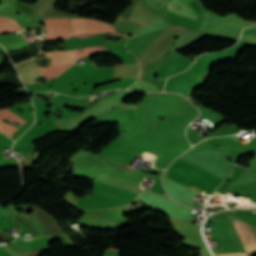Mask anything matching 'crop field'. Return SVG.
<instances>
[{
    "label": "crop field",
    "mask_w": 256,
    "mask_h": 256,
    "mask_svg": "<svg viewBox=\"0 0 256 256\" xmlns=\"http://www.w3.org/2000/svg\"><path fill=\"white\" fill-rule=\"evenodd\" d=\"M0 233H3V232H0ZM4 234H7V233H4ZM8 235H10V234H8Z\"/></svg>",
    "instance_id": "10"
},
{
    "label": "crop field",
    "mask_w": 256,
    "mask_h": 256,
    "mask_svg": "<svg viewBox=\"0 0 256 256\" xmlns=\"http://www.w3.org/2000/svg\"><path fill=\"white\" fill-rule=\"evenodd\" d=\"M72 36H73L72 32L68 31V32H62V33H55V34L46 35V39L47 40H49V39H69Z\"/></svg>",
    "instance_id": "8"
},
{
    "label": "crop field",
    "mask_w": 256,
    "mask_h": 256,
    "mask_svg": "<svg viewBox=\"0 0 256 256\" xmlns=\"http://www.w3.org/2000/svg\"><path fill=\"white\" fill-rule=\"evenodd\" d=\"M176 6H178L181 10H178L176 7L169 5L168 9L176 14L188 17L190 19L195 20L198 16L195 14V12L189 7L187 6L184 2L180 1V0H173L172 2H170Z\"/></svg>",
    "instance_id": "6"
},
{
    "label": "crop field",
    "mask_w": 256,
    "mask_h": 256,
    "mask_svg": "<svg viewBox=\"0 0 256 256\" xmlns=\"http://www.w3.org/2000/svg\"><path fill=\"white\" fill-rule=\"evenodd\" d=\"M187 29L183 26H170L160 36H158L150 45H148L137 57H135L140 67L147 66L152 63L156 58L161 56L171 45L173 38L181 34ZM157 60V59H156Z\"/></svg>",
    "instance_id": "2"
},
{
    "label": "crop field",
    "mask_w": 256,
    "mask_h": 256,
    "mask_svg": "<svg viewBox=\"0 0 256 256\" xmlns=\"http://www.w3.org/2000/svg\"><path fill=\"white\" fill-rule=\"evenodd\" d=\"M163 176L172 181H175L185 187L193 186V187H196V188L203 190L207 193H210V194L213 193V190H211V189H209V188H207V187H205V186H203V185H201V184H199V183H197V182H195V181H193V180H191V179H189V178H187L169 168H167V170Z\"/></svg>",
    "instance_id": "5"
},
{
    "label": "crop field",
    "mask_w": 256,
    "mask_h": 256,
    "mask_svg": "<svg viewBox=\"0 0 256 256\" xmlns=\"http://www.w3.org/2000/svg\"><path fill=\"white\" fill-rule=\"evenodd\" d=\"M164 30L165 29L151 32L136 39H129L125 48L135 57Z\"/></svg>",
    "instance_id": "4"
},
{
    "label": "crop field",
    "mask_w": 256,
    "mask_h": 256,
    "mask_svg": "<svg viewBox=\"0 0 256 256\" xmlns=\"http://www.w3.org/2000/svg\"><path fill=\"white\" fill-rule=\"evenodd\" d=\"M233 223L238 232L239 237L241 238V242L244 246L245 251H256V239L252 234L250 226L241 221H233Z\"/></svg>",
    "instance_id": "3"
},
{
    "label": "crop field",
    "mask_w": 256,
    "mask_h": 256,
    "mask_svg": "<svg viewBox=\"0 0 256 256\" xmlns=\"http://www.w3.org/2000/svg\"><path fill=\"white\" fill-rule=\"evenodd\" d=\"M92 54H110L104 46L84 48L69 51H55L53 53H44L46 57H62L72 61H77L87 55ZM71 61V62H72ZM68 60L52 58L49 68H41L46 80L60 77L75 64ZM24 84L42 85L35 80L36 77H44L35 59L21 62L15 66ZM140 67L138 63L121 64L111 68H106L104 83L127 78H138Z\"/></svg>",
    "instance_id": "1"
},
{
    "label": "crop field",
    "mask_w": 256,
    "mask_h": 256,
    "mask_svg": "<svg viewBox=\"0 0 256 256\" xmlns=\"http://www.w3.org/2000/svg\"><path fill=\"white\" fill-rule=\"evenodd\" d=\"M216 256H247L246 253H227V254H218Z\"/></svg>",
    "instance_id": "9"
},
{
    "label": "crop field",
    "mask_w": 256,
    "mask_h": 256,
    "mask_svg": "<svg viewBox=\"0 0 256 256\" xmlns=\"http://www.w3.org/2000/svg\"><path fill=\"white\" fill-rule=\"evenodd\" d=\"M136 201H137V199H136Z\"/></svg>",
    "instance_id": "11"
},
{
    "label": "crop field",
    "mask_w": 256,
    "mask_h": 256,
    "mask_svg": "<svg viewBox=\"0 0 256 256\" xmlns=\"http://www.w3.org/2000/svg\"><path fill=\"white\" fill-rule=\"evenodd\" d=\"M22 30L17 23L11 19L0 17V33L16 32Z\"/></svg>",
    "instance_id": "7"
}]
</instances>
